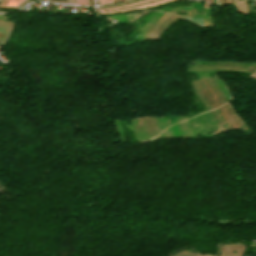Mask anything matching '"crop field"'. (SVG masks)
<instances>
[{
  "label": "crop field",
  "instance_id": "1",
  "mask_svg": "<svg viewBox=\"0 0 256 256\" xmlns=\"http://www.w3.org/2000/svg\"><path fill=\"white\" fill-rule=\"evenodd\" d=\"M151 1H155V0L141 1V2H137L135 4H131V5H127V6H122V7H116V8L99 9V11L102 12V13H114V12H120V11L134 10V9H139V8H143V7L153 6V5H156V4H159V3H162V2H166V1H171V0H161V1H158V2H155V3H151V4H147V5H143V6L132 7V8H127V9H121V8L129 7V6H132V5H136V4H140V3H145V2H151ZM109 9H121V10L103 12V11L109 10Z\"/></svg>",
  "mask_w": 256,
  "mask_h": 256
},
{
  "label": "crop field",
  "instance_id": "2",
  "mask_svg": "<svg viewBox=\"0 0 256 256\" xmlns=\"http://www.w3.org/2000/svg\"><path fill=\"white\" fill-rule=\"evenodd\" d=\"M23 0H2L0 6L16 8L19 7Z\"/></svg>",
  "mask_w": 256,
  "mask_h": 256
},
{
  "label": "crop field",
  "instance_id": "3",
  "mask_svg": "<svg viewBox=\"0 0 256 256\" xmlns=\"http://www.w3.org/2000/svg\"><path fill=\"white\" fill-rule=\"evenodd\" d=\"M186 19L190 20L191 22H193L199 26H202L203 19H193V18H186Z\"/></svg>",
  "mask_w": 256,
  "mask_h": 256
},
{
  "label": "crop field",
  "instance_id": "4",
  "mask_svg": "<svg viewBox=\"0 0 256 256\" xmlns=\"http://www.w3.org/2000/svg\"><path fill=\"white\" fill-rule=\"evenodd\" d=\"M78 4L80 5H90L89 0H78Z\"/></svg>",
  "mask_w": 256,
  "mask_h": 256
},
{
  "label": "crop field",
  "instance_id": "5",
  "mask_svg": "<svg viewBox=\"0 0 256 256\" xmlns=\"http://www.w3.org/2000/svg\"><path fill=\"white\" fill-rule=\"evenodd\" d=\"M176 256H200V255L187 254V253H185V252H182V253H180V254H178V255H176Z\"/></svg>",
  "mask_w": 256,
  "mask_h": 256
},
{
  "label": "crop field",
  "instance_id": "6",
  "mask_svg": "<svg viewBox=\"0 0 256 256\" xmlns=\"http://www.w3.org/2000/svg\"><path fill=\"white\" fill-rule=\"evenodd\" d=\"M49 1H55V2L67 3V0H49Z\"/></svg>",
  "mask_w": 256,
  "mask_h": 256
},
{
  "label": "crop field",
  "instance_id": "7",
  "mask_svg": "<svg viewBox=\"0 0 256 256\" xmlns=\"http://www.w3.org/2000/svg\"><path fill=\"white\" fill-rule=\"evenodd\" d=\"M111 2H113V0H103V4H105V3H111Z\"/></svg>",
  "mask_w": 256,
  "mask_h": 256
},
{
  "label": "crop field",
  "instance_id": "8",
  "mask_svg": "<svg viewBox=\"0 0 256 256\" xmlns=\"http://www.w3.org/2000/svg\"><path fill=\"white\" fill-rule=\"evenodd\" d=\"M0 23L3 24V25L9 26V27H11V28L13 27L12 25H9V24H7V23H5V22H2V21H0Z\"/></svg>",
  "mask_w": 256,
  "mask_h": 256
},
{
  "label": "crop field",
  "instance_id": "9",
  "mask_svg": "<svg viewBox=\"0 0 256 256\" xmlns=\"http://www.w3.org/2000/svg\"><path fill=\"white\" fill-rule=\"evenodd\" d=\"M92 2H93V4H94V5H96V3H95V1H94V0H92Z\"/></svg>",
  "mask_w": 256,
  "mask_h": 256
}]
</instances>
